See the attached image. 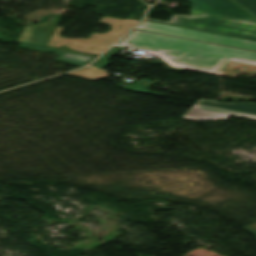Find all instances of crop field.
Returning <instances> with one entry per match:
<instances>
[{
  "label": "crop field",
  "mask_w": 256,
  "mask_h": 256,
  "mask_svg": "<svg viewBox=\"0 0 256 256\" xmlns=\"http://www.w3.org/2000/svg\"><path fill=\"white\" fill-rule=\"evenodd\" d=\"M120 45L160 52L175 67L216 72L226 59L256 63V52L134 30Z\"/></svg>",
  "instance_id": "obj_1"
},
{
  "label": "crop field",
  "mask_w": 256,
  "mask_h": 256,
  "mask_svg": "<svg viewBox=\"0 0 256 256\" xmlns=\"http://www.w3.org/2000/svg\"><path fill=\"white\" fill-rule=\"evenodd\" d=\"M191 16L173 15L170 22H146L191 29L256 42V18L230 0H188Z\"/></svg>",
  "instance_id": "obj_2"
},
{
  "label": "crop field",
  "mask_w": 256,
  "mask_h": 256,
  "mask_svg": "<svg viewBox=\"0 0 256 256\" xmlns=\"http://www.w3.org/2000/svg\"><path fill=\"white\" fill-rule=\"evenodd\" d=\"M100 23L111 24L112 30L105 34L93 33L89 39L74 38L68 39L59 37L63 28L56 27L47 46L60 47L65 45L71 50L84 51L100 54L122 37L130 28L136 25L139 21L136 20H119L109 17L100 19Z\"/></svg>",
  "instance_id": "obj_3"
},
{
  "label": "crop field",
  "mask_w": 256,
  "mask_h": 256,
  "mask_svg": "<svg viewBox=\"0 0 256 256\" xmlns=\"http://www.w3.org/2000/svg\"><path fill=\"white\" fill-rule=\"evenodd\" d=\"M136 28L153 31V32L164 33V34L175 35V36H181V37H186L191 39H197L202 41H208V42H213L218 44L235 46V47H240L245 49L256 50L255 42L244 41V40L223 37V36H218L213 34L179 29V28L168 27V26L157 25V24L146 23V22H143Z\"/></svg>",
  "instance_id": "obj_4"
},
{
  "label": "crop field",
  "mask_w": 256,
  "mask_h": 256,
  "mask_svg": "<svg viewBox=\"0 0 256 256\" xmlns=\"http://www.w3.org/2000/svg\"><path fill=\"white\" fill-rule=\"evenodd\" d=\"M60 19L61 17H54L49 22L24 26L17 42L47 45Z\"/></svg>",
  "instance_id": "obj_5"
},
{
  "label": "crop field",
  "mask_w": 256,
  "mask_h": 256,
  "mask_svg": "<svg viewBox=\"0 0 256 256\" xmlns=\"http://www.w3.org/2000/svg\"><path fill=\"white\" fill-rule=\"evenodd\" d=\"M230 115L245 117V118H250V119H256V115L234 112V111L218 109V108L202 106V105H196V104H194L182 116V118H186V119H190V120H194V121H202V120L228 118Z\"/></svg>",
  "instance_id": "obj_6"
},
{
  "label": "crop field",
  "mask_w": 256,
  "mask_h": 256,
  "mask_svg": "<svg viewBox=\"0 0 256 256\" xmlns=\"http://www.w3.org/2000/svg\"><path fill=\"white\" fill-rule=\"evenodd\" d=\"M19 48L58 53L60 55L55 59V61H59V62H63V63H67V64L79 66V67H82L88 64L96 56H98L96 54H90V53L67 51L64 49H55V48L25 45V44H20Z\"/></svg>",
  "instance_id": "obj_7"
},
{
  "label": "crop field",
  "mask_w": 256,
  "mask_h": 256,
  "mask_svg": "<svg viewBox=\"0 0 256 256\" xmlns=\"http://www.w3.org/2000/svg\"><path fill=\"white\" fill-rule=\"evenodd\" d=\"M200 104L211 105V106L256 114V104H252V103H225V102H215V101H201Z\"/></svg>",
  "instance_id": "obj_8"
},
{
  "label": "crop field",
  "mask_w": 256,
  "mask_h": 256,
  "mask_svg": "<svg viewBox=\"0 0 256 256\" xmlns=\"http://www.w3.org/2000/svg\"><path fill=\"white\" fill-rule=\"evenodd\" d=\"M67 75L83 77V78H88V79H93V80H97V79L109 76L108 73L98 70V69H95V68H92V67L85 68L80 71L70 73Z\"/></svg>",
  "instance_id": "obj_9"
},
{
  "label": "crop field",
  "mask_w": 256,
  "mask_h": 256,
  "mask_svg": "<svg viewBox=\"0 0 256 256\" xmlns=\"http://www.w3.org/2000/svg\"><path fill=\"white\" fill-rule=\"evenodd\" d=\"M237 3L245 7L247 10L256 15V0H235Z\"/></svg>",
  "instance_id": "obj_10"
},
{
  "label": "crop field",
  "mask_w": 256,
  "mask_h": 256,
  "mask_svg": "<svg viewBox=\"0 0 256 256\" xmlns=\"http://www.w3.org/2000/svg\"><path fill=\"white\" fill-rule=\"evenodd\" d=\"M109 57L103 56L100 59H98L92 66L103 68L105 65L109 64L110 62L107 61Z\"/></svg>",
  "instance_id": "obj_11"
},
{
  "label": "crop field",
  "mask_w": 256,
  "mask_h": 256,
  "mask_svg": "<svg viewBox=\"0 0 256 256\" xmlns=\"http://www.w3.org/2000/svg\"><path fill=\"white\" fill-rule=\"evenodd\" d=\"M243 229L256 235V222L249 226L244 227Z\"/></svg>",
  "instance_id": "obj_12"
},
{
  "label": "crop field",
  "mask_w": 256,
  "mask_h": 256,
  "mask_svg": "<svg viewBox=\"0 0 256 256\" xmlns=\"http://www.w3.org/2000/svg\"><path fill=\"white\" fill-rule=\"evenodd\" d=\"M117 48H118V47L113 48L111 51H109V52H108L107 54H105V55H107V56H113V54L117 53V52H114Z\"/></svg>",
  "instance_id": "obj_13"
}]
</instances>
